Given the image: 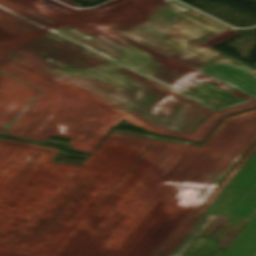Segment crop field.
Masks as SVG:
<instances>
[{"mask_svg": "<svg viewBox=\"0 0 256 256\" xmlns=\"http://www.w3.org/2000/svg\"><path fill=\"white\" fill-rule=\"evenodd\" d=\"M256 98V70L210 47L238 32L173 1L145 0L95 20Z\"/></svg>", "mask_w": 256, "mask_h": 256, "instance_id": "8a807250", "label": "crop field"}, {"mask_svg": "<svg viewBox=\"0 0 256 256\" xmlns=\"http://www.w3.org/2000/svg\"><path fill=\"white\" fill-rule=\"evenodd\" d=\"M199 236L219 240L222 256H256V153L171 256H183Z\"/></svg>", "mask_w": 256, "mask_h": 256, "instance_id": "ac0d7876", "label": "crop field"}, {"mask_svg": "<svg viewBox=\"0 0 256 256\" xmlns=\"http://www.w3.org/2000/svg\"><path fill=\"white\" fill-rule=\"evenodd\" d=\"M216 240L199 237L184 256H221L223 250L212 248Z\"/></svg>", "mask_w": 256, "mask_h": 256, "instance_id": "34b2d1b8", "label": "crop field"}]
</instances>
